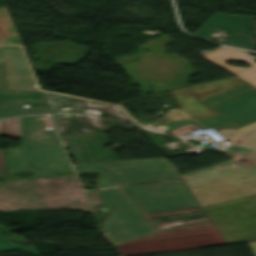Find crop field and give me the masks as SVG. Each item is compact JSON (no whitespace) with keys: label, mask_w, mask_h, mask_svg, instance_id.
Listing matches in <instances>:
<instances>
[{"label":"crop field","mask_w":256,"mask_h":256,"mask_svg":"<svg viewBox=\"0 0 256 256\" xmlns=\"http://www.w3.org/2000/svg\"><path fill=\"white\" fill-rule=\"evenodd\" d=\"M50 113L48 108H29L23 105L0 107V118L19 116L23 114Z\"/></svg>","instance_id":"14"},{"label":"crop field","mask_w":256,"mask_h":256,"mask_svg":"<svg viewBox=\"0 0 256 256\" xmlns=\"http://www.w3.org/2000/svg\"><path fill=\"white\" fill-rule=\"evenodd\" d=\"M236 145L256 147V121L231 130L230 128L218 130Z\"/></svg>","instance_id":"11"},{"label":"crop field","mask_w":256,"mask_h":256,"mask_svg":"<svg viewBox=\"0 0 256 256\" xmlns=\"http://www.w3.org/2000/svg\"><path fill=\"white\" fill-rule=\"evenodd\" d=\"M167 161V160H166ZM159 169L162 171L163 174L167 173H174L176 172L175 169L171 166V164L167 161L166 164L158 165Z\"/></svg>","instance_id":"19"},{"label":"crop field","mask_w":256,"mask_h":256,"mask_svg":"<svg viewBox=\"0 0 256 256\" xmlns=\"http://www.w3.org/2000/svg\"><path fill=\"white\" fill-rule=\"evenodd\" d=\"M21 43L5 7L0 8V45Z\"/></svg>","instance_id":"13"},{"label":"crop field","mask_w":256,"mask_h":256,"mask_svg":"<svg viewBox=\"0 0 256 256\" xmlns=\"http://www.w3.org/2000/svg\"><path fill=\"white\" fill-rule=\"evenodd\" d=\"M0 90L39 91L20 46L0 47Z\"/></svg>","instance_id":"7"},{"label":"crop field","mask_w":256,"mask_h":256,"mask_svg":"<svg viewBox=\"0 0 256 256\" xmlns=\"http://www.w3.org/2000/svg\"><path fill=\"white\" fill-rule=\"evenodd\" d=\"M171 94L203 127L234 129L256 120V89L235 77L171 91Z\"/></svg>","instance_id":"2"},{"label":"crop field","mask_w":256,"mask_h":256,"mask_svg":"<svg viewBox=\"0 0 256 256\" xmlns=\"http://www.w3.org/2000/svg\"><path fill=\"white\" fill-rule=\"evenodd\" d=\"M74 168L78 174L100 172V178L97 180L99 188L114 186L96 164L74 165Z\"/></svg>","instance_id":"15"},{"label":"crop field","mask_w":256,"mask_h":256,"mask_svg":"<svg viewBox=\"0 0 256 256\" xmlns=\"http://www.w3.org/2000/svg\"><path fill=\"white\" fill-rule=\"evenodd\" d=\"M52 116L61 136L110 131L94 127L86 116L73 115V117L67 118H59L57 114Z\"/></svg>","instance_id":"10"},{"label":"crop field","mask_w":256,"mask_h":256,"mask_svg":"<svg viewBox=\"0 0 256 256\" xmlns=\"http://www.w3.org/2000/svg\"><path fill=\"white\" fill-rule=\"evenodd\" d=\"M252 19L254 17L216 13L193 36L209 40L212 38L210 35L221 28L228 32L231 38L220 42V44L254 50L250 26Z\"/></svg>","instance_id":"5"},{"label":"crop field","mask_w":256,"mask_h":256,"mask_svg":"<svg viewBox=\"0 0 256 256\" xmlns=\"http://www.w3.org/2000/svg\"><path fill=\"white\" fill-rule=\"evenodd\" d=\"M1 134L9 130L12 138H20L19 117L1 120Z\"/></svg>","instance_id":"16"},{"label":"crop field","mask_w":256,"mask_h":256,"mask_svg":"<svg viewBox=\"0 0 256 256\" xmlns=\"http://www.w3.org/2000/svg\"><path fill=\"white\" fill-rule=\"evenodd\" d=\"M226 244L219 234L207 233L118 245L125 256Z\"/></svg>","instance_id":"6"},{"label":"crop field","mask_w":256,"mask_h":256,"mask_svg":"<svg viewBox=\"0 0 256 256\" xmlns=\"http://www.w3.org/2000/svg\"><path fill=\"white\" fill-rule=\"evenodd\" d=\"M45 102L41 92L0 91V106Z\"/></svg>","instance_id":"12"},{"label":"crop field","mask_w":256,"mask_h":256,"mask_svg":"<svg viewBox=\"0 0 256 256\" xmlns=\"http://www.w3.org/2000/svg\"><path fill=\"white\" fill-rule=\"evenodd\" d=\"M166 163L165 158L111 162L98 164L117 185L178 179V173L163 175L156 164Z\"/></svg>","instance_id":"4"},{"label":"crop field","mask_w":256,"mask_h":256,"mask_svg":"<svg viewBox=\"0 0 256 256\" xmlns=\"http://www.w3.org/2000/svg\"><path fill=\"white\" fill-rule=\"evenodd\" d=\"M44 93L51 113L73 112L92 115L100 118H103V116L106 114H115L123 116L130 123H132L135 126H138L127 116V114L119 106L75 97L62 96L48 92Z\"/></svg>","instance_id":"8"},{"label":"crop field","mask_w":256,"mask_h":256,"mask_svg":"<svg viewBox=\"0 0 256 256\" xmlns=\"http://www.w3.org/2000/svg\"><path fill=\"white\" fill-rule=\"evenodd\" d=\"M142 213L199 206L183 180L120 187ZM113 213L104 223L114 245L157 232L150 222L117 189L100 190Z\"/></svg>","instance_id":"1"},{"label":"crop field","mask_w":256,"mask_h":256,"mask_svg":"<svg viewBox=\"0 0 256 256\" xmlns=\"http://www.w3.org/2000/svg\"><path fill=\"white\" fill-rule=\"evenodd\" d=\"M194 120H189V121H185V122H175V123H167L164 124L163 126H161L158 130H162V131H166L169 132L177 127L186 125V124H190V123H194Z\"/></svg>","instance_id":"18"},{"label":"crop field","mask_w":256,"mask_h":256,"mask_svg":"<svg viewBox=\"0 0 256 256\" xmlns=\"http://www.w3.org/2000/svg\"><path fill=\"white\" fill-rule=\"evenodd\" d=\"M139 124L141 125H145V126H148L150 128H154V129H157L158 127H160L162 124H152V123H149V122H138Z\"/></svg>","instance_id":"20"},{"label":"crop field","mask_w":256,"mask_h":256,"mask_svg":"<svg viewBox=\"0 0 256 256\" xmlns=\"http://www.w3.org/2000/svg\"><path fill=\"white\" fill-rule=\"evenodd\" d=\"M210 60L216 62L217 64L223 66L224 68L230 70L231 72L237 74L241 78L247 80L256 86V63L253 62V59L246 52H242L236 49L224 47L213 52L203 55ZM235 59L240 61H245L251 64L252 68H239L227 65L223 62Z\"/></svg>","instance_id":"9"},{"label":"crop field","mask_w":256,"mask_h":256,"mask_svg":"<svg viewBox=\"0 0 256 256\" xmlns=\"http://www.w3.org/2000/svg\"><path fill=\"white\" fill-rule=\"evenodd\" d=\"M11 250H20V251L38 255V252L35 249H31L28 247H24L18 244L5 241L3 236L0 233V251H11Z\"/></svg>","instance_id":"17"},{"label":"crop field","mask_w":256,"mask_h":256,"mask_svg":"<svg viewBox=\"0 0 256 256\" xmlns=\"http://www.w3.org/2000/svg\"><path fill=\"white\" fill-rule=\"evenodd\" d=\"M20 131L22 147L7 149L8 173L72 171L48 116L20 117Z\"/></svg>","instance_id":"3"}]
</instances>
